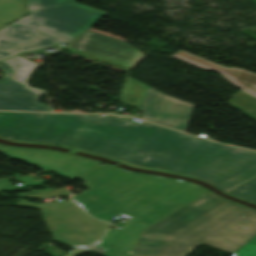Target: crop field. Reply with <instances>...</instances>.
I'll use <instances>...</instances> for the list:
<instances>
[{
  "mask_svg": "<svg viewBox=\"0 0 256 256\" xmlns=\"http://www.w3.org/2000/svg\"><path fill=\"white\" fill-rule=\"evenodd\" d=\"M227 194L256 203V179Z\"/></svg>",
  "mask_w": 256,
  "mask_h": 256,
  "instance_id": "crop-field-14",
  "label": "crop field"
},
{
  "mask_svg": "<svg viewBox=\"0 0 256 256\" xmlns=\"http://www.w3.org/2000/svg\"><path fill=\"white\" fill-rule=\"evenodd\" d=\"M81 178L91 189L73 198L90 215L96 213L152 176L135 174L110 166H99ZM95 197V200L90 199Z\"/></svg>",
  "mask_w": 256,
  "mask_h": 256,
  "instance_id": "crop-field-7",
  "label": "crop field"
},
{
  "mask_svg": "<svg viewBox=\"0 0 256 256\" xmlns=\"http://www.w3.org/2000/svg\"><path fill=\"white\" fill-rule=\"evenodd\" d=\"M232 256H256V236L242 246Z\"/></svg>",
  "mask_w": 256,
  "mask_h": 256,
  "instance_id": "crop-field-16",
  "label": "crop field"
},
{
  "mask_svg": "<svg viewBox=\"0 0 256 256\" xmlns=\"http://www.w3.org/2000/svg\"><path fill=\"white\" fill-rule=\"evenodd\" d=\"M0 136L59 144L195 177L229 192L256 178V153L125 117L0 112Z\"/></svg>",
  "mask_w": 256,
  "mask_h": 256,
  "instance_id": "crop-field-1",
  "label": "crop field"
},
{
  "mask_svg": "<svg viewBox=\"0 0 256 256\" xmlns=\"http://www.w3.org/2000/svg\"><path fill=\"white\" fill-rule=\"evenodd\" d=\"M248 209L208 192L144 230L131 256H187L200 243L233 254L256 235Z\"/></svg>",
  "mask_w": 256,
  "mask_h": 256,
  "instance_id": "crop-field-2",
  "label": "crop field"
},
{
  "mask_svg": "<svg viewBox=\"0 0 256 256\" xmlns=\"http://www.w3.org/2000/svg\"><path fill=\"white\" fill-rule=\"evenodd\" d=\"M66 49L80 56L126 70L144 55L125 42L90 31Z\"/></svg>",
  "mask_w": 256,
  "mask_h": 256,
  "instance_id": "crop-field-9",
  "label": "crop field"
},
{
  "mask_svg": "<svg viewBox=\"0 0 256 256\" xmlns=\"http://www.w3.org/2000/svg\"><path fill=\"white\" fill-rule=\"evenodd\" d=\"M89 251H93L92 249H76L74 251H72L71 253L65 255V256H76L78 254H82V253H86Z\"/></svg>",
  "mask_w": 256,
  "mask_h": 256,
  "instance_id": "crop-field-18",
  "label": "crop field"
},
{
  "mask_svg": "<svg viewBox=\"0 0 256 256\" xmlns=\"http://www.w3.org/2000/svg\"><path fill=\"white\" fill-rule=\"evenodd\" d=\"M15 176L17 177V178H19L21 181H23V182H28V181H31V179L30 178H28L27 176H23V177H21L20 175H18V174H15Z\"/></svg>",
  "mask_w": 256,
  "mask_h": 256,
  "instance_id": "crop-field-19",
  "label": "crop field"
},
{
  "mask_svg": "<svg viewBox=\"0 0 256 256\" xmlns=\"http://www.w3.org/2000/svg\"><path fill=\"white\" fill-rule=\"evenodd\" d=\"M173 57L189 63L195 67H198L202 70L215 71L220 76H222V79H224L240 91L256 98V74L237 68L226 69L224 67L218 66L216 64L197 58L182 51L178 52Z\"/></svg>",
  "mask_w": 256,
  "mask_h": 256,
  "instance_id": "crop-field-11",
  "label": "crop field"
},
{
  "mask_svg": "<svg viewBox=\"0 0 256 256\" xmlns=\"http://www.w3.org/2000/svg\"><path fill=\"white\" fill-rule=\"evenodd\" d=\"M75 0H26L28 12L71 2Z\"/></svg>",
  "mask_w": 256,
  "mask_h": 256,
  "instance_id": "crop-field-15",
  "label": "crop field"
},
{
  "mask_svg": "<svg viewBox=\"0 0 256 256\" xmlns=\"http://www.w3.org/2000/svg\"><path fill=\"white\" fill-rule=\"evenodd\" d=\"M37 184H39V183L33 182V183H26L24 185L25 186H31V185H37ZM25 186H21V187H25ZM14 188H17V187L11 185L10 182L7 179L6 180H0V191L8 190V189H14Z\"/></svg>",
  "mask_w": 256,
  "mask_h": 256,
  "instance_id": "crop-field-17",
  "label": "crop field"
},
{
  "mask_svg": "<svg viewBox=\"0 0 256 256\" xmlns=\"http://www.w3.org/2000/svg\"><path fill=\"white\" fill-rule=\"evenodd\" d=\"M36 65L19 56L0 61V68L5 73L0 82V110L51 111L38 102L43 92L25 86Z\"/></svg>",
  "mask_w": 256,
  "mask_h": 256,
  "instance_id": "crop-field-8",
  "label": "crop field"
},
{
  "mask_svg": "<svg viewBox=\"0 0 256 256\" xmlns=\"http://www.w3.org/2000/svg\"><path fill=\"white\" fill-rule=\"evenodd\" d=\"M26 12L25 0H0V28Z\"/></svg>",
  "mask_w": 256,
  "mask_h": 256,
  "instance_id": "crop-field-12",
  "label": "crop field"
},
{
  "mask_svg": "<svg viewBox=\"0 0 256 256\" xmlns=\"http://www.w3.org/2000/svg\"><path fill=\"white\" fill-rule=\"evenodd\" d=\"M226 103L256 120V99L249 97L242 92L235 94Z\"/></svg>",
  "mask_w": 256,
  "mask_h": 256,
  "instance_id": "crop-field-13",
  "label": "crop field"
},
{
  "mask_svg": "<svg viewBox=\"0 0 256 256\" xmlns=\"http://www.w3.org/2000/svg\"><path fill=\"white\" fill-rule=\"evenodd\" d=\"M0 151L5 152V155L9 157L23 159L32 165L56 172L59 176L68 179H74L101 163L55 151L20 149L6 146H0Z\"/></svg>",
  "mask_w": 256,
  "mask_h": 256,
  "instance_id": "crop-field-10",
  "label": "crop field"
},
{
  "mask_svg": "<svg viewBox=\"0 0 256 256\" xmlns=\"http://www.w3.org/2000/svg\"><path fill=\"white\" fill-rule=\"evenodd\" d=\"M16 206L42 210L44 222L54 240L71 247H91L110 225L90 218L71 201L64 204L36 205L21 199Z\"/></svg>",
  "mask_w": 256,
  "mask_h": 256,
  "instance_id": "crop-field-5",
  "label": "crop field"
},
{
  "mask_svg": "<svg viewBox=\"0 0 256 256\" xmlns=\"http://www.w3.org/2000/svg\"><path fill=\"white\" fill-rule=\"evenodd\" d=\"M104 14L75 2L31 12L0 30V60L58 42L68 44Z\"/></svg>",
  "mask_w": 256,
  "mask_h": 256,
  "instance_id": "crop-field-4",
  "label": "crop field"
},
{
  "mask_svg": "<svg viewBox=\"0 0 256 256\" xmlns=\"http://www.w3.org/2000/svg\"><path fill=\"white\" fill-rule=\"evenodd\" d=\"M120 102L138 106L137 110L143 112L141 118L144 120L183 131L186 130L194 106L168 97L131 78L127 79Z\"/></svg>",
  "mask_w": 256,
  "mask_h": 256,
  "instance_id": "crop-field-6",
  "label": "crop field"
},
{
  "mask_svg": "<svg viewBox=\"0 0 256 256\" xmlns=\"http://www.w3.org/2000/svg\"><path fill=\"white\" fill-rule=\"evenodd\" d=\"M207 191L192 183L154 177L92 215L106 221L118 214L132 219L121 229H110L95 246L106 250V256H130L143 229Z\"/></svg>",
  "mask_w": 256,
  "mask_h": 256,
  "instance_id": "crop-field-3",
  "label": "crop field"
}]
</instances>
